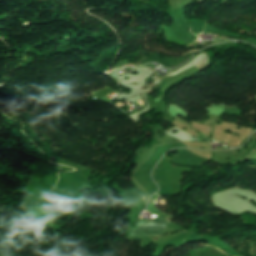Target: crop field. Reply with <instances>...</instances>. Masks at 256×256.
<instances>
[{
  "label": "crop field",
  "instance_id": "obj_1",
  "mask_svg": "<svg viewBox=\"0 0 256 256\" xmlns=\"http://www.w3.org/2000/svg\"><path fill=\"white\" fill-rule=\"evenodd\" d=\"M166 222L167 221L157 219V218L154 219L153 222L138 220L137 224L133 228L132 227L129 228V235H130L131 228H132V232L130 236L158 235L164 231ZM141 237L142 236H136V237L128 236V238L139 239V240Z\"/></svg>",
  "mask_w": 256,
  "mask_h": 256
},
{
  "label": "crop field",
  "instance_id": "obj_2",
  "mask_svg": "<svg viewBox=\"0 0 256 256\" xmlns=\"http://www.w3.org/2000/svg\"><path fill=\"white\" fill-rule=\"evenodd\" d=\"M152 178L154 179V181L160 187V168H155L154 169V171L152 173ZM157 194H160V189H159V192Z\"/></svg>",
  "mask_w": 256,
  "mask_h": 256
},
{
  "label": "crop field",
  "instance_id": "obj_3",
  "mask_svg": "<svg viewBox=\"0 0 256 256\" xmlns=\"http://www.w3.org/2000/svg\"><path fill=\"white\" fill-rule=\"evenodd\" d=\"M178 154H192V153L187 149H182V150H178Z\"/></svg>",
  "mask_w": 256,
  "mask_h": 256
}]
</instances>
